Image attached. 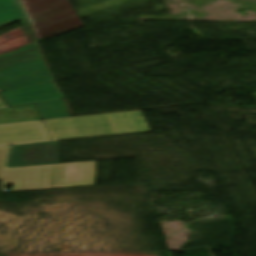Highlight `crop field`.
Returning <instances> with one entry per match:
<instances>
[{"mask_svg":"<svg viewBox=\"0 0 256 256\" xmlns=\"http://www.w3.org/2000/svg\"><path fill=\"white\" fill-rule=\"evenodd\" d=\"M43 122L52 141L149 131L140 111Z\"/></svg>","mask_w":256,"mask_h":256,"instance_id":"crop-field-2","label":"crop field"},{"mask_svg":"<svg viewBox=\"0 0 256 256\" xmlns=\"http://www.w3.org/2000/svg\"><path fill=\"white\" fill-rule=\"evenodd\" d=\"M95 162L55 164L5 169L1 189L11 183V191L94 185Z\"/></svg>","mask_w":256,"mask_h":256,"instance_id":"crop-field-1","label":"crop field"},{"mask_svg":"<svg viewBox=\"0 0 256 256\" xmlns=\"http://www.w3.org/2000/svg\"><path fill=\"white\" fill-rule=\"evenodd\" d=\"M10 107L35 103L43 120L70 117L54 81L1 92Z\"/></svg>","mask_w":256,"mask_h":256,"instance_id":"crop-field-4","label":"crop field"},{"mask_svg":"<svg viewBox=\"0 0 256 256\" xmlns=\"http://www.w3.org/2000/svg\"><path fill=\"white\" fill-rule=\"evenodd\" d=\"M20 1L39 42L83 26L68 0ZM49 35L52 36L47 37Z\"/></svg>","mask_w":256,"mask_h":256,"instance_id":"crop-field-3","label":"crop field"},{"mask_svg":"<svg viewBox=\"0 0 256 256\" xmlns=\"http://www.w3.org/2000/svg\"><path fill=\"white\" fill-rule=\"evenodd\" d=\"M1 92V91H0Z\"/></svg>","mask_w":256,"mask_h":256,"instance_id":"crop-field-13","label":"crop field"},{"mask_svg":"<svg viewBox=\"0 0 256 256\" xmlns=\"http://www.w3.org/2000/svg\"><path fill=\"white\" fill-rule=\"evenodd\" d=\"M24 17L18 0H0V27Z\"/></svg>","mask_w":256,"mask_h":256,"instance_id":"crop-field-11","label":"crop field"},{"mask_svg":"<svg viewBox=\"0 0 256 256\" xmlns=\"http://www.w3.org/2000/svg\"><path fill=\"white\" fill-rule=\"evenodd\" d=\"M51 141L42 121L0 125V146Z\"/></svg>","mask_w":256,"mask_h":256,"instance_id":"crop-field-7","label":"crop field"},{"mask_svg":"<svg viewBox=\"0 0 256 256\" xmlns=\"http://www.w3.org/2000/svg\"><path fill=\"white\" fill-rule=\"evenodd\" d=\"M36 44L0 54V69L40 57Z\"/></svg>","mask_w":256,"mask_h":256,"instance_id":"crop-field-10","label":"crop field"},{"mask_svg":"<svg viewBox=\"0 0 256 256\" xmlns=\"http://www.w3.org/2000/svg\"><path fill=\"white\" fill-rule=\"evenodd\" d=\"M42 120L35 105L0 109V124Z\"/></svg>","mask_w":256,"mask_h":256,"instance_id":"crop-field-9","label":"crop field"},{"mask_svg":"<svg viewBox=\"0 0 256 256\" xmlns=\"http://www.w3.org/2000/svg\"><path fill=\"white\" fill-rule=\"evenodd\" d=\"M59 163L58 141L10 146L5 168Z\"/></svg>","mask_w":256,"mask_h":256,"instance_id":"crop-field-6","label":"crop field"},{"mask_svg":"<svg viewBox=\"0 0 256 256\" xmlns=\"http://www.w3.org/2000/svg\"><path fill=\"white\" fill-rule=\"evenodd\" d=\"M1 107H6V104L4 103V101L1 99V97H0V108Z\"/></svg>","mask_w":256,"mask_h":256,"instance_id":"crop-field-12","label":"crop field"},{"mask_svg":"<svg viewBox=\"0 0 256 256\" xmlns=\"http://www.w3.org/2000/svg\"><path fill=\"white\" fill-rule=\"evenodd\" d=\"M19 21L22 27L0 36V53L37 42L27 19Z\"/></svg>","mask_w":256,"mask_h":256,"instance_id":"crop-field-8","label":"crop field"},{"mask_svg":"<svg viewBox=\"0 0 256 256\" xmlns=\"http://www.w3.org/2000/svg\"><path fill=\"white\" fill-rule=\"evenodd\" d=\"M53 80L43 57L0 70L3 91Z\"/></svg>","mask_w":256,"mask_h":256,"instance_id":"crop-field-5","label":"crop field"}]
</instances>
